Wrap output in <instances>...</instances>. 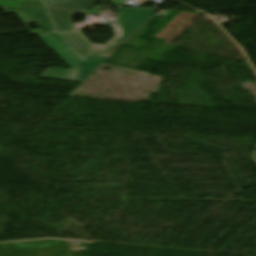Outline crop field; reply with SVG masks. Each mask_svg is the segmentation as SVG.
Returning <instances> with one entry per match:
<instances>
[{
	"mask_svg": "<svg viewBox=\"0 0 256 256\" xmlns=\"http://www.w3.org/2000/svg\"><path fill=\"white\" fill-rule=\"evenodd\" d=\"M46 8L55 32L38 35L73 69L49 68L40 77L83 82L111 54L92 49L75 31L69 16L86 14L95 4L92 0H40Z\"/></svg>",
	"mask_w": 256,
	"mask_h": 256,
	"instance_id": "crop-field-1",
	"label": "crop field"
},
{
	"mask_svg": "<svg viewBox=\"0 0 256 256\" xmlns=\"http://www.w3.org/2000/svg\"><path fill=\"white\" fill-rule=\"evenodd\" d=\"M157 17L152 16L133 36H131L126 42H124V45H127L144 27H146L128 46L136 47V48H142L145 46L148 42L139 40V38L149 29V25L155 21Z\"/></svg>",
	"mask_w": 256,
	"mask_h": 256,
	"instance_id": "crop-field-5",
	"label": "crop field"
},
{
	"mask_svg": "<svg viewBox=\"0 0 256 256\" xmlns=\"http://www.w3.org/2000/svg\"><path fill=\"white\" fill-rule=\"evenodd\" d=\"M158 9L157 8H119V18L114 23L117 37L108 45L119 48L133 35Z\"/></svg>",
	"mask_w": 256,
	"mask_h": 256,
	"instance_id": "crop-field-3",
	"label": "crop field"
},
{
	"mask_svg": "<svg viewBox=\"0 0 256 256\" xmlns=\"http://www.w3.org/2000/svg\"><path fill=\"white\" fill-rule=\"evenodd\" d=\"M97 50L113 54L117 49L106 46V47H104L102 49H97Z\"/></svg>",
	"mask_w": 256,
	"mask_h": 256,
	"instance_id": "crop-field-6",
	"label": "crop field"
},
{
	"mask_svg": "<svg viewBox=\"0 0 256 256\" xmlns=\"http://www.w3.org/2000/svg\"><path fill=\"white\" fill-rule=\"evenodd\" d=\"M5 13H16L32 35L53 31L43 9L1 6ZM36 22L40 29L31 30L26 23Z\"/></svg>",
	"mask_w": 256,
	"mask_h": 256,
	"instance_id": "crop-field-4",
	"label": "crop field"
},
{
	"mask_svg": "<svg viewBox=\"0 0 256 256\" xmlns=\"http://www.w3.org/2000/svg\"><path fill=\"white\" fill-rule=\"evenodd\" d=\"M6 1H29V2H39L38 0H6Z\"/></svg>",
	"mask_w": 256,
	"mask_h": 256,
	"instance_id": "crop-field-7",
	"label": "crop field"
},
{
	"mask_svg": "<svg viewBox=\"0 0 256 256\" xmlns=\"http://www.w3.org/2000/svg\"><path fill=\"white\" fill-rule=\"evenodd\" d=\"M0 256H70L67 241L32 240L0 244Z\"/></svg>",
	"mask_w": 256,
	"mask_h": 256,
	"instance_id": "crop-field-2",
	"label": "crop field"
}]
</instances>
